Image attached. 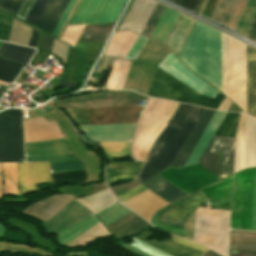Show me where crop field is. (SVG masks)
Returning a JSON list of instances; mask_svg holds the SVG:
<instances>
[{
    "label": "crop field",
    "instance_id": "crop-field-59",
    "mask_svg": "<svg viewBox=\"0 0 256 256\" xmlns=\"http://www.w3.org/2000/svg\"><path fill=\"white\" fill-rule=\"evenodd\" d=\"M34 0H26L25 3L23 4L19 14L17 17L21 18L24 20L29 8L31 7L32 3Z\"/></svg>",
    "mask_w": 256,
    "mask_h": 256
},
{
    "label": "crop field",
    "instance_id": "crop-field-19",
    "mask_svg": "<svg viewBox=\"0 0 256 256\" xmlns=\"http://www.w3.org/2000/svg\"><path fill=\"white\" fill-rule=\"evenodd\" d=\"M229 256H256V233L231 231Z\"/></svg>",
    "mask_w": 256,
    "mask_h": 256
},
{
    "label": "crop field",
    "instance_id": "crop-field-1",
    "mask_svg": "<svg viewBox=\"0 0 256 256\" xmlns=\"http://www.w3.org/2000/svg\"><path fill=\"white\" fill-rule=\"evenodd\" d=\"M200 23L197 22L178 58L221 91V33Z\"/></svg>",
    "mask_w": 256,
    "mask_h": 256
},
{
    "label": "crop field",
    "instance_id": "crop-field-54",
    "mask_svg": "<svg viewBox=\"0 0 256 256\" xmlns=\"http://www.w3.org/2000/svg\"><path fill=\"white\" fill-rule=\"evenodd\" d=\"M168 1L175 3L185 9L195 12L200 0H168Z\"/></svg>",
    "mask_w": 256,
    "mask_h": 256
},
{
    "label": "crop field",
    "instance_id": "crop-field-43",
    "mask_svg": "<svg viewBox=\"0 0 256 256\" xmlns=\"http://www.w3.org/2000/svg\"><path fill=\"white\" fill-rule=\"evenodd\" d=\"M194 209L195 207L184 202L176 208L166 212L164 215L186 222Z\"/></svg>",
    "mask_w": 256,
    "mask_h": 256
},
{
    "label": "crop field",
    "instance_id": "crop-field-11",
    "mask_svg": "<svg viewBox=\"0 0 256 256\" xmlns=\"http://www.w3.org/2000/svg\"><path fill=\"white\" fill-rule=\"evenodd\" d=\"M175 169L203 188L220 180L198 164ZM175 169L168 168L159 174L188 195L202 189Z\"/></svg>",
    "mask_w": 256,
    "mask_h": 256
},
{
    "label": "crop field",
    "instance_id": "crop-field-70",
    "mask_svg": "<svg viewBox=\"0 0 256 256\" xmlns=\"http://www.w3.org/2000/svg\"><path fill=\"white\" fill-rule=\"evenodd\" d=\"M0 109H3V108L0 107Z\"/></svg>",
    "mask_w": 256,
    "mask_h": 256
},
{
    "label": "crop field",
    "instance_id": "crop-field-9",
    "mask_svg": "<svg viewBox=\"0 0 256 256\" xmlns=\"http://www.w3.org/2000/svg\"><path fill=\"white\" fill-rule=\"evenodd\" d=\"M127 0H81L69 25L116 21Z\"/></svg>",
    "mask_w": 256,
    "mask_h": 256
},
{
    "label": "crop field",
    "instance_id": "crop-field-30",
    "mask_svg": "<svg viewBox=\"0 0 256 256\" xmlns=\"http://www.w3.org/2000/svg\"><path fill=\"white\" fill-rule=\"evenodd\" d=\"M52 179V184L43 185L36 187V191L52 188L56 185L71 182V183H85L87 179V172L85 170L80 171H72V172H64V173H56L50 174Z\"/></svg>",
    "mask_w": 256,
    "mask_h": 256
},
{
    "label": "crop field",
    "instance_id": "crop-field-6",
    "mask_svg": "<svg viewBox=\"0 0 256 256\" xmlns=\"http://www.w3.org/2000/svg\"><path fill=\"white\" fill-rule=\"evenodd\" d=\"M230 211L200 207L198 242L227 256Z\"/></svg>",
    "mask_w": 256,
    "mask_h": 256
},
{
    "label": "crop field",
    "instance_id": "crop-field-38",
    "mask_svg": "<svg viewBox=\"0 0 256 256\" xmlns=\"http://www.w3.org/2000/svg\"><path fill=\"white\" fill-rule=\"evenodd\" d=\"M129 212L131 211L118 202L96 215L106 226Z\"/></svg>",
    "mask_w": 256,
    "mask_h": 256
},
{
    "label": "crop field",
    "instance_id": "crop-field-8",
    "mask_svg": "<svg viewBox=\"0 0 256 256\" xmlns=\"http://www.w3.org/2000/svg\"><path fill=\"white\" fill-rule=\"evenodd\" d=\"M21 110L0 113V162L24 161Z\"/></svg>",
    "mask_w": 256,
    "mask_h": 256
},
{
    "label": "crop field",
    "instance_id": "crop-field-69",
    "mask_svg": "<svg viewBox=\"0 0 256 256\" xmlns=\"http://www.w3.org/2000/svg\"><path fill=\"white\" fill-rule=\"evenodd\" d=\"M4 229H5V227L0 225V237L2 236Z\"/></svg>",
    "mask_w": 256,
    "mask_h": 256
},
{
    "label": "crop field",
    "instance_id": "crop-field-29",
    "mask_svg": "<svg viewBox=\"0 0 256 256\" xmlns=\"http://www.w3.org/2000/svg\"><path fill=\"white\" fill-rule=\"evenodd\" d=\"M131 61L115 59L105 89L119 90L124 81Z\"/></svg>",
    "mask_w": 256,
    "mask_h": 256
},
{
    "label": "crop field",
    "instance_id": "crop-field-27",
    "mask_svg": "<svg viewBox=\"0 0 256 256\" xmlns=\"http://www.w3.org/2000/svg\"><path fill=\"white\" fill-rule=\"evenodd\" d=\"M95 214L117 202L109 189L101 191L93 196L76 199Z\"/></svg>",
    "mask_w": 256,
    "mask_h": 256
},
{
    "label": "crop field",
    "instance_id": "crop-field-13",
    "mask_svg": "<svg viewBox=\"0 0 256 256\" xmlns=\"http://www.w3.org/2000/svg\"><path fill=\"white\" fill-rule=\"evenodd\" d=\"M135 124L79 126L86 129L88 138L98 142H127L131 137Z\"/></svg>",
    "mask_w": 256,
    "mask_h": 256
},
{
    "label": "crop field",
    "instance_id": "crop-field-10",
    "mask_svg": "<svg viewBox=\"0 0 256 256\" xmlns=\"http://www.w3.org/2000/svg\"><path fill=\"white\" fill-rule=\"evenodd\" d=\"M234 138L213 136L198 164L222 179L232 174Z\"/></svg>",
    "mask_w": 256,
    "mask_h": 256
},
{
    "label": "crop field",
    "instance_id": "crop-field-12",
    "mask_svg": "<svg viewBox=\"0 0 256 256\" xmlns=\"http://www.w3.org/2000/svg\"><path fill=\"white\" fill-rule=\"evenodd\" d=\"M21 195L35 192V185L51 182L48 162L17 163Z\"/></svg>",
    "mask_w": 256,
    "mask_h": 256
},
{
    "label": "crop field",
    "instance_id": "crop-field-34",
    "mask_svg": "<svg viewBox=\"0 0 256 256\" xmlns=\"http://www.w3.org/2000/svg\"><path fill=\"white\" fill-rule=\"evenodd\" d=\"M35 50L3 43L0 56L17 62L27 64Z\"/></svg>",
    "mask_w": 256,
    "mask_h": 256
},
{
    "label": "crop field",
    "instance_id": "crop-field-26",
    "mask_svg": "<svg viewBox=\"0 0 256 256\" xmlns=\"http://www.w3.org/2000/svg\"><path fill=\"white\" fill-rule=\"evenodd\" d=\"M65 65L66 67L62 80L74 84L78 83L83 70V60L81 55L71 47L69 48L68 57Z\"/></svg>",
    "mask_w": 256,
    "mask_h": 256
},
{
    "label": "crop field",
    "instance_id": "crop-field-40",
    "mask_svg": "<svg viewBox=\"0 0 256 256\" xmlns=\"http://www.w3.org/2000/svg\"><path fill=\"white\" fill-rule=\"evenodd\" d=\"M140 100H114V101H100V102H87L81 103L82 108L88 107H102V106H117V105H131L138 106ZM63 108H80L79 103L61 104L58 105Z\"/></svg>",
    "mask_w": 256,
    "mask_h": 256
},
{
    "label": "crop field",
    "instance_id": "crop-field-62",
    "mask_svg": "<svg viewBox=\"0 0 256 256\" xmlns=\"http://www.w3.org/2000/svg\"><path fill=\"white\" fill-rule=\"evenodd\" d=\"M39 32L36 31L35 29H32L29 45L30 47H36L37 44V39H38Z\"/></svg>",
    "mask_w": 256,
    "mask_h": 256
},
{
    "label": "crop field",
    "instance_id": "crop-field-5",
    "mask_svg": "<svg viewBox=\"0 0 256 256\" xmlns=\"http://www.w3.org/2000/svg\"><path fill=\"white\" fill-rule=\"evenodd\" d=\"M169 52L167 47L150 39L136 60L131 62L123 89L141 91L145 95L154 68Z\"/></svg>",
    "mask_w": 256,
    "mask_h": 256
},
{
    "label": "crop field",
    "instance_id": "crop-field-49",
    "mask_svg": "<svg viewBox=\"0 0 256 256\" xmlns=\"http://www.w3.org/2000/svg\"><path fill=\"white\" fill-rule=\"evenodd\" d=\"M130 239L136 242V243H131L130 245H132V246H134V247H136V248H138V249H140V250H142V251H144V252H146V253H148L152 256H169L165 253H162V252H160V251H158V250H156V249L138 241L134 237H132Z\"/></svg>",
    "mask_w": 256,
    "mask_h": 256
},
{
    "label": "crop field",
    "instance_id": "crop-field-46",
    "mask_svg": "<svg viewBox=\"0 0 256 256\" xmlns=\"http://www.w3.org/2000/svg\"><path fill=\"white\" fill-rule=\"evenodd\" d=\"M13 18L0 12V40H9Z\"/></svg>",
    "mask_w": 256,
    "mask_h": 256
},
{
    "label": "crop field",
    "instance_id": "crop-field-24",
    "mask_svg": "<svg viewBox=\"0 0 256 256\" xmlns=\"http://www.w3.org/2000/svg\"><path fill=\"white\" fill-rule=\"evenodd\" d=\"M69 0H51L37 27L52 34Z\"/></svg>",
    "mask_w": 256,
    "mask_h": 256
},
{
    "label": "crop field",
    "instance_id": "crop-field-45",
    "mask_svg": "<svg viewBox=\"0 0 256 256\" xmlns=\"http://www.w3.org/2000/svg\"><path fill=\"white\" fill-rule=\"evenodd\" d=\"M164 9H165V6L157 3L154 11L152 12L145 27L143 28L141 35L149 37L151 31L153 30L154 26L156 25L158 19L160 18L161 14L163 13Z\"/></svg>",
    "mask_w": 256,
    "mask_h": 256
},
{
    "label": "crop field",
    "instance_id": "crop-field-55",
    "mask_svg": "<svg viewBox=\"0 0 256 256\" xmlns=\"http://www.w3.org/2000/svg\"><path fill=\"white\" fill-rule=\"evenodd\" d=\"M184 200L196 207L208 201L201 191L185 198Z\"/></svg>",
    "mask_w": 256,
    "mask_h": 256
},
{
    "label": "crop field",
    "instance_id": "crop-field-63",
    "mask_svg": "<svg viewBox=\"0 0 256 256\" xmlns=\"http://www.w3.org/2000/svg\"><path fill=\"white\" fill-rule=\"evenodd\" d=\"M252 230H256V175H255V191H254V207H253Z\"/></svg>",
    "mask_w": 256,
    "mask_h": 256
},
{
    "label": "crop field",
    "instance_id": "crop-field-67",
    "mask_svg": "<svg viewBox=\"0 0 256 256\" xmlns=\"http://www.w3.org/2000/svg\"><path fill=\"white\" fill-rule=\"evenodd\" d=\"M60 85L67 86V87H70V88H72L74 86V84H70V83L63 82V81H61Z\"/></svg>",
    "mask_w": 256,
    "mask_h": 256
},
{
    "label": "crop field",
    "instance_id": "crop-field-22",
    "mask_svg": "<svg viewBox=\"0 0 256 256\" xmlns=\"http://www.w3.org/2000/svg\"><path fill=\"white\" fill-rule=\"evenodd\" d=\"M144 162L108 163L107 183L136 178Z\"/></svg>",
    "mask_w": 256,
    "mask_h": 256
},
{
    "label": "crop field",
    "instance_id": "crop-field-44",
    "mask_svg": "<svg viewBox=\"0 0 256 256\" xmlns=\"http://www.w3.org/2000/svg\"><path fill=\"white\" fill-rule=\"evenodd\" d=\"M0 250L9 251V252L27 251V252L36 253L39 255H50L44 251H41L39 249L30 247V246L15 244V243H8L3 241L0 242Z\"/></svg>",
    "mask_w": 256,
    "mask_h": 256
},
{
    "label": "crop field",
    "instance_id": "crop-field-60",
    "mask_svg": "<svg viewBox=\"0 0 256 256\" xmlns=\"http://www.w3.org/2000/svg\"><path fill=\"white\" fill-rule=\"evenodd\" d=\"M246 37L250 38L253 41H256V16Z\"/></svg>",
    "mask_w": 256,
    "mask_h": 256
},
{
    "label": "crop field",
    "instance_id": "crop-field-15",
    "mask_svg": "<svg viewBox=\"0 0 256 256\" xmlns=\"http://www.w3.org/2000/svg\"><path fill=\"white\" fill-rule=\"evenodd\" d=\"M154 4H155V2H153L151 0H136L134 2L133 6L131 7L129 13L127 14L126 18L124 19L122 25L120 26L119 30L130 29L132 31L139 33L142 25L144 24L146 18L148 17L151 9L154 6Z\"/></svg>",
    "mask_w": 256,
    "mask_h": 256
},
{
    "label": "crop field",
    "instance_id": "crop-field-68",
    "mask_svg": "<svg viewBox=\"0 0 256 256\" xmlns=\"http://www.w3.org/2000/svg\"><path fill=\"white\" fill-rule=\"evenodd\" d=\"M204 1H205V0H201V3H200V5H199V7H198V9H197V11H196L197 13H200Z\"/></svg>",
    "mask_w": 256,
    "mask_h": 256
},
{
    "label": "crop field",
    "instance_id": "crop-field-58",
    "mask_svg": "<svg viewBox=\"0 0 256 256\" xmlns=\"http://www.w3.org/2000/svg\"><path fill=\"white\" fill-rule=\"evenodd\" d=\"M162 224H167V225H172V226H177V227H182L184 228L185 223L175 220L173 218L167 217V216H162L161 222Z\"/></svg>",
    "mask_w": 256,
    "mask_h": 256
},
{
    "label": "crop field",
    "instance_id": "crop-field-28",
    "mask_svg": "<svg viewBox=\"0 0 256 256\" xmlns=\"http://www.w3.org/2000/svg\"><path fill=\"white\" fill-rule=\"evenodd\" d=\"M145 242L171 256H201L203 254V252L184 247L166 239L161 242L155 239Z\"/></svg>",
    "mask_w": 256,
    "mask_h": 256
},
{
    "label": "crop field",
    "instance_id": "crop-field-3",
    "mask_svg": "<svg viewBox=\"0 0 256 256\" xmlns=\"http://www.w3.org/2000/svg\"><path fill=\"white\" fill-rule=\"evenodd\" d=\"M146 95L215 109L225 98L203 96L157 67Z\"/></svg>",
    "mask_w": 256,
    "mask_h": 256
},
{
    "label": "crop field",
    "instance_id": "crop-field-61",
    "mask_svg": "<svg viewBox=\"0 0 256 256\" xmlns=\"http://www.w3.org/2000/svg\"><path fill=\"white\" fill-rule=\"evenodd\" d=\"M219 91H217L215 88L209 86V85H206L204 91H203V95H206V96H210V97H213L215 98V96L218 94Z\"/></svg>",
    "mask_w": 256,
    "mask_h": 256
},
{
    "label": "crop field",
    "instance_id": "crop-field-48",
    "mask_svg": "<svg viewBox=\"0 0 256 256\" xmlns=\"http://www.w3.org/2000/svg\"><path fill=\"white\" fill-rule=\"evenodd\" d=\"M25 0H0V8L17 16Z\"/></svg>",
    "mask_w": 256,
    "mask_h": 256
},
{
    "label": "crop field",
    "instance_id": "crop-field-65",
    "mask_svg": "<svg viewBox=\"0 0 256 256\" xmlns=\"http://www.w3.org/2000/svg\"><path fill=\"white\" fill-rule=\"evenodd\" d=\"M133 2H134V0H132V1H131L130 5L128 6L127 10L125 11V13H124V15H123V17H122V19H121L120 23L118 24V26H117L116 30H118V28H119L120 24L122 23L123 19L125 18V16H126L127 12L129 11L130 7L132 6ZM116 30H115V31H116Z\"/></svg>",
    "mask_w": 256,
    "mask_h": 256
},
{
    "label": "crop field",
    "instance_id": "crop-field-57",
    "mask_svg": "<svg viewBox=\"0 0 256 256\" xmlns=\"http://www.w3.org/2000/svg\"><path fill=\"white\" fill-rule=\"evenodd\" d=\"M170 240L178 242V243L186 245V246H189V247H192V248H195V249L203 251V252H205L207 250V248H205L203 246L196 245V244L191 243V242H189L187 240H184V239H181V238H177V237H174V236H172Z\"/></svg>",
    "mask_w": 256,
    "mask_h": 256
},
{
    "label": "crop field",
    "instance_id": "crop-field-2",
    "mask_svg": "<svg viewBox=\"0 0 256 256\" xmlns=\"http://www.w3.org/2000/svg\"><path fill=\"white\" fill-rule=\"evenodd\" d=\"M205 111V108L194 106L180 127L167 124L155 140L145 167L136 179L142 183L158 172L170 167Z\"/></svg>",
    "mask_w": 256,
    "mask_h": 256
},
{
    "label": "crop field",
    "instance_id": "crop-field-4",
    "mask_svg": "<svg viewBox=\"0 0 256 256\" xmlns=\"http://www.w3.org/2000/svg\"><path fill=\"white\" fill-rule=\"evenodd\" d=\"M25 149L27 161L49 160L52 173L85 168V163L73 154L64 139L25 143Z\"/></svg>",
    "mask_w": 256,
    "mask_h": 256
},
{
    "label": "crop field",
    "instance_id": "crop-field-31",
    "mask_svg": "<svg viewBox=\"0 0 256 256\" xmlns=\"http://www.w3.org/2000/svg\"><path fill=\"white\" fill-rule=\"evenodd\" d=\"M177 15H178V12L166 7L164 13L159 19L154 30L152 31L150 38L162 43L164 37L169 31Z\"/></svg>",
    "mask_w": 256,
    "mask_h": 256
},
{
    "label": "crop field",
    "instance_id": "crop-field-64",
    "mask_svg": "<svg viewBox=\"0 0 256 256\" xmlns=\"http://www.w3.org/2000/svg\"><path fill=\"white\" fill-rule=\"evenodd\" d=\"M53 41H54V38L46 35L43 47L51 51L52 45H53Z\"/></svg>",
    "mask_w": 256,
    "mask_h": 256
},
{
    "label": "crop field",
    "instance_id": "crop-field-14",
    "mask_svg": "<svg viewBox=\"0 0 256 256\" xmlns=\"http://www.w3.org/2000/svg\"><path fill=\"white\" fill-rule=\"evenodd\" d=\"M194 23L195 20L179 13L163 43L177 55Z\"/></svg>",
    "mask_w": 256,
    "mask_h": 256
},
{
    "label": "crop field",
    "instance_id": "crop-field-51",
    "mask_svg": "<svg viewBox=\"0 0 256 256\" xmlns=\"http://www.w3.org/2000/svg\"><path fill=\"white\" fill-rule=\"evenodd\" d=\"M147 41V38L142 37L138 35L136 41L134 42L133 46L131 47L129 53L127 54L126 58L129 59H135L145 42Z\"/></svg>",
    "mask_w": 256,
    "mask_h": 256
},
{
    "label": "crop field",
    "instance_id": "crop-field-18",
    "mask_svg": "<svg viewBox=\"0 0 256 256\" xmlns=\"http://www.w3.org/2000/svg\"><path fill=\"white\" fill-rule=\"evenodd\" d=\"M214 113H215L214 110L207 109V111L205 112V114L203 115V117L198 122V124L192 131L191 135L187 139L186 143L182 147L181 151L177 155L176 159L172 163L171 167L184 166L186 160L188 159L190 153L193 151L194 147L196 146L198 140L203 134L205 128L207 127Z\"/></svg>",
    "mask_w": 256,
    "mask_h": 256
},
{
    "label": "crop field",
    "instance_id": "crop-field-52",
    "mask_svg": "<svg viewBox=\"0 0 256 256\" xmlns=\"http://www.w3.org/2000/svg\"><path fill=\"white\" fill-rule=\"evenodd\" d=\"M68 47L69 46L55 40L52 52L55 53L59 58H61L65 62Z\"/></svg>",
    "mask_w": 256,
    "mask_h": 256
},
{
    "label": "crop field",
    "instance_id": "crop-field-33",
    "mask_svg": "<svg viewBox=\"0 0 256 256\" xmlns=\"http://www.w3.org/2000/svg\"><path fill=\"white\" fill-rule=\"evenodd\" d=\"M114 24L86 26L79 42H106Z\"/></svg>",
    "mask_w": 256,
    "mask_h": 256
},
{
    "label": "crop field",
    "instance_id": "crop-field-23",
    "mask_svg": "<svg viewBox=\"0 0 256 256\" xmlns=\"http://www.w3.org/2000/svg\"><path fill=\"white\" fill-rule=\"evenodd\" d=\"M225 115H226L225 112L216 111L211 122L206 128L204 134L199 140L197 146L195 147L194 151L191 153L189 159L187 160L185 166L190 164H195L198 162L202 153L204 152L205 148L207 147L209 141L211 140L212 136L214 135L215 131L217 130L218 126L222 122Z\"/></svg>",
    "mask_w": 256,
    "mask_h": 256
},
{
    "label": "crop field",
    "instance_id": "crop-field-25",
    "mask_svg": "<svg viewBox=\"0 0 256 256\" xmlns=\"http://www.w3.org/2000/svg\"><path fill=\"white\" fill-rule=\"evenodd\" d=\"M98 222L100 221L92 213L87 215L86 217L80 219L79 221L75 222L69 227L58 232L59 243L62 245L66 244L67 242L74 239L75 237H77L90 227L94 226Z\"/></svg>",
    "mask_w": 256,
    "mask_h": 256
},
{
    "label": "crop field",
    "instance_id": "crop-field-7",
    "mask_svg": "<svg viewBox=\"0 0 256 256\" xmlns=\"http://www.w3.org/2000/svg\"><path fill=\"white\" fill-rule=\"evenodd\" d=\"M255 168L234 175L231 229L251 230Z\"/></svg>",
    "mask_w": 256,
    "mask_h": 256
},
{
    "label": "crop field",
    "instance_id": "crop-field-16",
    "mask_svg": "<svg viewBox=\"0 0 256 256\" xmlns=\"http://www.w3.org/2000/svg\"><path fill=\"white\" fill-rule=\"evenodd\" d=\"M201 190L208 198L211 208L230 210L232 176Z\"/></svg>",
    "mask_w": 256,
    "mask_h": 256
},
{
    "label": "crop field",
    "instance_id": "crop-field-66",
    "mask_svg": "<svg viewBox=\"0 0 256 256\" xmlns=\"http://www.w3.org/2000/svg\"><path fill=\"white\" fill-rule=\"evenodd\" d=\"M203 256H220V255L216 254L211 250H208Z\"/></svg>",
    "mask_w": 256,
    "mask_h": 256
},
{
    "label": "crop field",
    "instance_id": "crop-field-53",
    "mask_svg": "<svg viewBox=\"0 0 256 256\" xmlns=\"http://www.w3.org/2000/svg\"><path fill=\"white\" fill-rule=\"evenodd\" d=\"M146 190H147L146 188H144L143 186L139 185V186H137V187H135V188H133V189H131V190L121 194V195H119L118 199L122 203V202H124V201H126V200H128V199H130V198H132V197H134V196H136V195L146 191Z\"/></svg>",
    "mask_w": 256,
    "mask_h": 256
},
{
    "label": "crop field",
    "instance_id": "crop-field-35",
    "mask_svg": "<svg viewBox=\"0 0 256 256\" xmlns=\"http://www.w3.org/2000/svg\"><path fill=\"white\" fill-rule=\"evenodd\" d=\"M4 194H19L16 163H2Z\"/></svg>",
    "mask_w": 256,
    "mask_h": 256
},
{
    "label": "crop field",
    "instance_id": "crop-field-42",
    "mask_svg": "<svg viewBox=\"0 0 256 256\" xmlns=\"http://www.w3.org/2000/svg\"><path fill=\"white\" fill-rule=\"evenodd\" d=\"M50 0H35L31 9L29 10L25 21L37 26L44 10L46 9Z\"/></svg>",
    "mask_w": 256,
    "mask_h": 256
},
{
    "label": "crop field",
    "instance_id": "crop-field-32",
    "mask_svg": "<svg viewBox=\"0 0 256 256\" xmlns=\"http://www.w3.org/2000/svg\"><path fill=\"white\" fill-rule=\"evenodd\" d=\"M238 0H218L211 20L228 26Z\"/></svg>",
    "mask_w": 256,
    "mask_h": 256
},
{
    "label": "crop field",
    "instance_id": "crop-field-47",
    "mask_svg": "<svg viewBox=\"0 0 256 256\" xmlns=\"http://www.w3.org/2000/svg\"><path fill=\"white\" fill-rule=\"evenodd\" d=\"M192 108L193 106L191 105L180 104L179 108L177 109L176 113L169 121V123L180 126V124L183 122V120L185 119V117L188 115Z\"/></svg>",
    "mask_w": 256,
    "mask_h": 256
},
{
    "label": "crop field",
    "instance_id": "crop-field-17",
    "mask_svg": "<svg viewBox=\"0 0 256 256\" xmlns=\"http://www.w3.org/2000/svg\"><path fill=\"white\" fill-rule=\"evenodd\" d=\"M149 225L131 212L106 228L115 238H122L138 234Z\"/></svg>",
    "mask_w": 256,
    "mask_h": 256
},
{
    "label": "crop field",
    "instance_id": "crop-field-39",
    "mask_svg": "<svg viewBox=\"0 0 256 256\" xmlns=\"http://www.w3.org/2000/svg\"><path fill=\"white\" fill-rule=\"evenodd\" d=\"M23 66L24 64L0 58V80L12 83Z\"/></svg>",
    "mask_w": 256,
    "mask_h": 256
},
{
    "label": "crop field",
    "instance_id": "crop-field-56",
    "mask_svg": "<svg viewBox=\"0 0 256 256\" xmlns=\"http://www.w3.org/2000/svg\"><path fill=\"white\" fill-rule=\"evenodd\" d=\"M50 55H51V53H49V52H47V51L38 47L37 53L33 57V59L31 60L30 65L32 66L35 61L43 64L48 59V57Z\"/></svg>",
    "mask_w": 256,
    "mask_h": 256
},
{
    "label": "crop field",
    "instance_id": "crop-field-41",
    "mask_svg": "<svg viewBox=\"0 0 256 256\" xmlns=\"http://www.w3.org/2000/svg\"><path fill=\"white\" fill-rule=\"evenodd\" d=\"M238 118V113H227L215 135L234 137Z\"/></svg>",
    "mask_w": 256,
    "mask_h": 256
},
{
    "label": "crop field",
    "instance_id": "crop-field-50",
    "mask_svg": "<svg viewBox=\"0 0 256 256\" xmlns=\"http://www.w3.org/2000/svg\"><path fill=\"white\" fill-rule=\"evenodd\" d=\"M76 1H77V0H71V1L69 2L68 6H67V8H66V10H65V12L63 13V15H62V17H61L59 23L57 24V26H56V28H55V30H54V32H53V35H55V36L58 37V35H59V33H60V31H61L63 25L65 24V22H66V20H67V18H68V16H69V14H70V12L72 11V9H73V7H74Z\"/></svg>",
    "mask_w": 256,
    "mask_h": 256
},
{
    "label": "crop field",
    "instance_id": "crop-field-20",
    "mask_svg": "<svg viewBox=\"0 0 256 256\" xmlns=\"http://www.w3.org/2000/svg\"><path fill=\"white\" fill-rule=\"evenodd\" d=\"M144 187L155 193L157 196L170 203L178 198L187 196L184 192L169 183L158 174L150 178L143 184Z\"/></svg>",
    "mask_w": 256,
    "mask_h": 256
},
{
    "label": "crop field",
    "instance_id": "crop-field-36",
    "mask_svg": "<svg viewBox=\"0 0 256 256\" xmlns=\"http://www.w3.org/2000/svg\"><path fill=\"white\" fill-rule=\"evenodd\" d=\"M256 13V0H248L235 27L236 32L246 36Z\"/></svg>",
    "mask_w": 256,
    "mask_h": 256
},
{
    "label": "crop field",
    "instance_id": "crop-field-37",
    "mask_svg": "<svg viewBox=\"0 0 256 256\" xmlns=\"http://www.w3.org/2000/svg\"><path fill=\"white\" fill-rule=\"evenodd\" d=\"M104 156L107 160L123 159L127 157L131 143H101Z\"/></svg>",
    "mask_w": 256,
    "mask_h": 256
},
{
    "label": "crop field",
    "instance_id": "crop-field-21",
    "mask_svg": "<svg viewBox=\"0 0 256 256\" xmlns=\"http://www.w3.org/2000/svg\"><path fill=\"white\" fill-rule=\"evenodd\" d=\"M248 114L256 117V50L247 45Z\"/></svg>",
    "mask_w": 256,
    "mask_h": 256
}]
</instances>
